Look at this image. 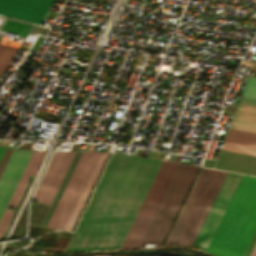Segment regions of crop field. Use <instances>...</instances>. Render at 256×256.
<instances>
[{
	"mask_svg": "<svg viewBox=\"0 0 256 256\" xmlns=\"http://www.w3.org/2000/svg\"><path fill=\"white\" fill-rule=\"evenodd\" d=\"M250 256H256V245H255V247H254V249H253V251H252Z\"/></svg>",
	"mask_w": 256,
	"mask_h": 256,
	"instance_id": "733c2abd",
	"label": "crop field"
},
{
	"mask_svg": "<svg viewBox=\"0 0 256 256\" xmlns=\"http://www.w3.org/2000/svg\"><path fill=\"white\" fill-rule=\"evenodd\" d=\"M242 175L228 173L193 244L205 250Z\"/></svg>",
	"mask_w": 256,
	"mask_h": 256,
	"instance_id": "dd49c442",
	"label": "crop field"
},
{
	"mask_svg": "<svg viewBox=\"0 0 256 256\" xmlns=\"http://www.w3.org/2000/svg\"><path fill=\"white\" fill-rule=\"evenodd\" d=\"M108 154L109 153H102L101 156L99 155L100 158L98 157L99 160H98V162H97V164H96V166H95V168H94V170H93V172H92V174H91V176H90V178H89V180H88V182H87V184H86V186H85V188H84V190H83V192H82L64 229L70 230V231L72 230Z\"/></svg>",
	"mask_w": 256,
	"mask_h": 256,
	"instance_id": "5a996713",
	"label": "crop field"
},
{
	"mask_svg": "<svg viewBox=\"0 0 256 256\" xmlns=\"http://www.w3.org/2000/svg\"><path fill=\"white\" fill-rule=\"evenodd\" d=\"M33 151L14 149L0 177V218Z\"/></svg>",
	"mask_w": 256,
	"mask_h": 256,
	"instance_id": "e52e79f7",
	"label": "crop field"
},
{
	"mask_svg": "<svg viewBox=\"0 0 256 256\" xmlns=\"http://www.w3.org/2000/svg\"><path fill=\"white\" fill-rule=\"evenodd\" d=\"M225 140L256 146V134L253 133L229 129Z\"/></svg>",
	"mask_w": 256,
	"mask_h": 256,
	"instance_id": "28ad6ade",
	"label": "crop field"
},
{
	"mask_svg": "<svg viewBox=\"0 0 256 256\" xmlns=\"http://www.w3.org/2000/svg\"><path fill=\"white\" fill-rule=\"evenodd\" d=\"M5 149H6V148L0 147V159H1V157H2V155H3V153H4V151H5Z\"/></svg>",
	"mask_w": 256,
	"mask_h": 256,
	"instance_id": "d9b57169",
	"label": "crop field"
},
{
	"mask_svg": "<svg viewBox=\"0 0 256 256\" xmlns=\"http://www.w3.org/2000/svg\"><path fill=\"white\" fill-rule=\"evenodd\" d=\"M256 242V177L243 175L206 250L249 256Z\"/></svg>",
	"mask_w": 256,
	"mask_h": 256,
	"instance_id": "ac0d7876",
	"label": "crop field"
},
{
	"mask_svg": "<svg viewBox=\"0 0 256 256\" xmlns=\"http://www.w3.org/2000/svg\"><path fill=\"white\" fill-rule=\"evenodd\" d=\"M226 174L201 169L164 245L192 244Z\"/></svg>",
	"mask_w": 256,
	"mask_h": 256,
	"instance_id": "34b2d1b8",
	"label": "crop field"
},
{
	"mask_svg": "<svg viewBox=\"0 0 256 256\" xmlns=\"http://www.w3.org/2000/svg\"><path fill=\"white\" fill-rule=\"evenodd\" d=\"M229 128L256 133V107L239 104Z\"/></svg>",
	"mask_w": 256,
	"mask_h": 256,
	"instance_id": "3316defc",
	"label": "crop field"
},
{
	"mask_svg": "<svg viewBox=\"0 0 256 256\" xmlns=\"http://www.w3.org/2000/svg\"><path fill=\"white\" fill-rule=\"evenodd\" d=\"M252 71H255V72H256V67H254Z\"/></svg>",
	"mask_w": 256,
	"mask_h": 256,
	"instance_id": "4a817a6b",
	"label": "crop field"
},
{
	"mask_svg": "<svg viewBox=\"0 0 256 256\" xmlns=\"http://www.w3.org/2000/svg\"><path fill=\"white\" fill-rule=\"evenodd\" d=\"M177 164L162 162L120 248L138 246Z\"/></svg>",
	"mask_w": 256,
	"mask_h": 256,
	"instance_id": "f4fd0767",
	"label": "crop field"
},
{
	"mask_svg": "<svg viewBox=\"0 0 256 256\" xmlns=\"http://www.w3.org/2000/svg\"><path fill=\"white\" fill-rule=\"evenodd\" d=\"M53 0H0V14L39 24Z\"/></svg>",
	"mask_w": 256,
	"mask_h": 256,
	"instance_id": "d8731c3e",
	"label": "crop field"
},
{
	"mask_svg": "<svg viewBox=\"0 0 256 256\" xmlns=\"http://www.w3.org/2000/svg\"><path fill=\"white\" fill-rule=\"evenodd\" d=\"M255 66H256V64H255Z\"/></svg>",
	"mask_w": 256,
	"mask_h": 256,
	"instance_id": "bc2a9ffb",
	"label": "crop field"
},
{
	"mask_svg": "<svg viewBox=\"0 0 256 256\" xmlns=\"http://www.w3.org/2000/svg\"><path fill=\"white\" fill-rule=\"evenodd\" d=\"M161 162L113 153L64 251L119 248Z\"/></svg>",
	"mask_w": 256,
	"mask_h": 256,
	"instance_id": "8a807250",
	"label": "crop field"
},
{
	"mask_svg": "<svg viewBox=\"0 0 256 256\" xmlns=\"http://www.w3.org/2000/svg\"><path fill=\"white\" fill-rule=\"evenodd\" d=\"M200 167L178 164L138 247L161 245Z\"/></svg>",
	"mask_w": 256,
	"mask_h": 256,
	"instance_id": "412701ff",
	"label": "crop field"
},
{
	"mask_svg": "<svg viewBox=\"0 0 256 256\" xmlns=\"http://www.w3.org/2000/svg\"><path fill=\"white\" fill-rule=\"evenodd\" d=\"M221 149L256 156V147L253 146L225 141Z\"/></svg>",
	"mask_w": 256,
	"mask_h": 256,
	"instance_id": "22f410ed",
	"label": "crop field"
},
{
	"mask_svg": "<svg viewBox=\"0 0 256 256\" xmlns=\"http://www.w3.org/2000/svg\"><path fill=\"white\" fill-rule=\"evenodd\" d=\"M240 100L256 103V100H254V99H249V98H243V97H241Z\"/></svg>",
	"mask_w": 256,
	"mask_h": 256,
	"instance_id": "5142ce71",
	"label": "crop field"
},
{
	"mask_svg": "<svg viewBox=\"0 0 256 256\" xmlns=\"http://www.w3.org/2000/svg\"><path fill=\"white\" fill-rule=\"evenodd\" d=\"M18 49L0 45V76L16 54Z\"/></svg>",
	"mask_w": 256,
	"mask_h": 256,
	"instance_id": "d1516ede",
	"label": "crop field"
},
{
	"mask_svg": "<svg viewBox=\"0 0 256 256\" xmlns=\"http://www.w3.org/2000/svg\"><path fill=\"white\" fill-rule=\"evenodd\" d=\"M255 81H256V77H251V76L248 77L246 85L244 87V90H243V93H242L241 96L249 97V98L256 97V84H255ZM254 84H255V87H254ZM253 87H254V89H253ZM252 89H253V92H252ZM251 92H252V95H251ZM250 95L253 96V97H250ZM254 99H256V98H254Z\"/></svg>",
	"mask_w": 256,
	"mask_h": 256,
	"instance_id": "cbeb9de0",
	"label": "crop field"
}]
</instances>
